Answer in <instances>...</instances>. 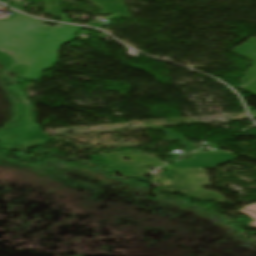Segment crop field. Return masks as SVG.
<instances>
[{
	"label": "crop field",
	"instance_id": "obj_1",
	"mask_svg": "<svg viewBox=\"0 0 256 256\" xmlns=\"http://www.w3.org/2000/svg\"><path fill=\"white\" fill-rule=\"evenodd\" d=\"M15 62L11 59L9 54L0 51V73H4L10 67H12Z\"/></svg>",
	"mask_w": 256,
	"mask_h": 256
},
{
	"label": "crop field",
	"instance_id": "obj_2",
	"mask_svg": "<svg viewBox=\"0 0 256 256\" xmlns=\"http://www.w3.org/2000/svg\"><path fill=\"white\" fill-rule=\"evenodd\" d=\"M239 211L245 213L247 216H249V217H251L253 219H256V204L251 205V206H249L247 208H243V209H241ZM249 225L256 227V221L250 223Z\"/></svg>",
	"mask_w": 256,
	"mask_h": 256
},
{
	"label": "crop field",
	"instance_id": "obj_3",
	"mask_svg": "<svg viewBox=\"0 0 256 256\" xmlns=\"http://www.w3.org/2000/svg\"><path fill=\"white\" fill-rule=\"evenodd\" d=\"M21 65H23V67H20ZM27 65L25 64H16L11 70H9L8 72H15L18 73V75L16 76V78L18 76H20L21 74H23L26 71Z\"/></svg>",
	"mask_w": 256,
	"mask_h": 256
},
{
	"label": "crop field",
	"instance_id": "obj_4",
	"mask_svg": "<svg viewBox=\"0 0 256 256\" xmlns=\"http://www.w3.org/2000/svg\"><path fill=\"white\" fill-rule=\"evenodd\" d=\"M160 165H162V163H160V164H158V165H155V166L158 167V166H160Z\"/></svg>",
	"mask_w": 256,
	"mask_h": 256
}]
</instances>
